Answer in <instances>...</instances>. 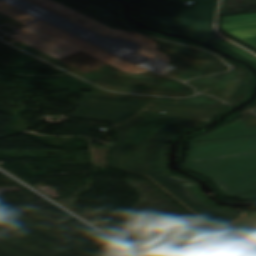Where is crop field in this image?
Segmentation results:
<instances>
[{
    "mask_svg": "<svg viewBox=\"0 0 256 256\" xmlns=\"http://www.w3.org/2000/svg\"><path fill=\"white\" fill-rule=\"evenodd\" d=\"M201 124L145 111L117 128L120 144L111 162L114 168L151 176L203 219L224 226L241 215L210 206L200 198L197 185L171 175L164 167L172 137Z\"/></svg>",
    "mask_w": 256,
    "mask_h": 256,
    "instance_id": "1",
    "label": "crop field"
},
{
    "mask_svg": "<svg viewBox=\"0 0 256 256\" xmlns=\"http://www.w3.org/2000/svg\"><path fill=\"white\" fill-rule=\"evenodd\" d=\"M183 165L209 177L225 195L256 197V136L189 143Z\"/></svg>",
    "mask_w": 256,
    "mask_h": 256,
    "instance_id": "2",
    "label": "crop field"
},
{
    "mask_svg": "<svg viewBox=\"0 0 256 256\" xmlns=\"http://www.w3.org/2000/svg\"><path fill=\"white\" fill-rule=\"evenodd\" d=\"M69 19L102 35L129 39L141 44V54L156 56L179 67L166 75L169 77L185 80L229 69L218 58L207 52L140 35L125 28L120 20Z\"/></svg>",
    "mask_w": 256,
    "mask_h": 256,
    "instance_id": "3",
    "label": "crop field"
},
{
    "mask_svg": "<svg viewBox=\"0 0 256 256\" xmlns=\"http://www.w3.org/2000/svg\"><path fill=\"white\" fill-rule=\"evenodd\" d=\"M148 24L220 44L256 64V58L220 39L212 30L217 0H137ZM192 1L187 6L184 3Z\"/></svg>",
    "mask_w": 256,
    "mask_h": 256,
    "instance_id": "4",
    "label": "crop field"
},
{
    "mask_svg": "<svg viewBox=\"0 0 256 256\" xmlns=\"http://www.w3.org/2000/svg\"><path fill=\"white\" fill-rule=\"evenodd\" d=\"M147 102L84 95L72 118L119 123L143 109Z\"/></svg>",
    "mask_w": 256,
    "mask_h": 256,
    "instance_id": "5",
    "label": "crop field"
},
{
    "mask_svg": "<svg viewBox=\"0 0 256 256\" xmlns=\"http://www.w3.org/2000/svg\"><path fill=\"white\" fill-rule=\"evenodd\" d=\"M64 17L120 19L118 13L104 3L58 0H30ZM100 1V0H91Z\"/></svg>",
    "mask_w": 256,
    "mask_h": 256,
    "instance_id": "6",
    "label": "crop field"
},
{
    "mask_svg": "<svg viewBox=\"0 0 256 256\" xmlns=\"http://www.w3.org/2000/svg\"><path fill=\"white\" fill-rule=\"evenodd\" d=\"M247 82L248 79L244 71L235 67L230 73L190 81L200 88L213 89L210 93L225 100L230 97L238 98L245 91Z\"/></svg>",
    "mask_w": 256,
    "mask_h": 256,
    "instance_id": "7",
    "label": "crop field"
},
{
    "mask_svg": "<svg viewBox=\"0 0 256 256\" xmlns=\"http://www.w3.org/2000/svg\"><path fill=\"white\" fill-rule=\"evenodd\" d=\"M221 25L231 36L256 48V13L222 17Z\"/></svg>",
    "mask_w": 256,
    "mask_h": 256,
    "instance_id": "8",
    "label": "crop field"
},
{
    "mask_svg": "<svg viewBox=\"0 0 256 256\" xmlns=\"http://www.w3.org/2000/svg\"><path fill=\"white\" fill-rule=\"evenodd\" d=\"M146 110L157 111V112H167V115L188 118L198 121L209 122L221 115L224 111L222 110H214V109H206V108H198V107H190V106H182V105H174V104H166V103H158L152 102L147 107Z\"/></svg>",
    "mask_w": 256,
    "mask_h": 256,
    "instance_id": "9",
    "label": "crop field"
},
{
    "mask_svg": "<svg viewBox=\"0 0 256 256\" xmlns=\"http://www.w3.org/2000/svg\"><path fill=\"white\" fill-rule=\"evenodd\" d=\"M251 135H256V127L246 128L240 117L230 125L225 126L209 134H206L204 136H201L199 138L192 139L190 142L243 137V136H251Z\"/></svg>",
    "mask_w": 256,
    "mask_h": 256,
    "instance_id": "10",
    "label": "crop field"
},
{
    "mask_svg": "<svg viewBox=\"0 0 256 256\" xmlns=\"http://www.w3.org/2000/svg\"><path fill=\"white\" fill-rule=\"evenodd\" d=\"M34 18L0 3V25L8 24L16 29L26 26L25 23Z\"/></svg>",
    "mask_w": 256,
    "mask_h": 256,
    "instance_id": "11",
    "label": "crop field"
},
{
    "mask_svg": "<svg viewBox=\"0 0 256 256\" xmlns=\"http://www.w3.org/2000/svg\"><path fill=\"white\" fill-rule=\"evenodd\" d=\"M227 228L256 235V211L239 219Z\"/></svg>",
    "mask_w": 256,
    "mask_h": 256,
    "instance_id": "12",
    "label": "crop field"
},
{
    "mask_svg": "<svg viewBox=\"0 0 256 256\" xmlns=\"http://www.w3.org/2000/svg\"><path fill=\"white\" fill-rule=\"evenodd\" d=\"M242 119L247 127L256 126V116L248 113L242 116Z\"/></svg>",
    "mask_w": 256,
    "mask_h": 256,
    "instance_id": "13",
    "label": "crop field"
}]
</instances>
